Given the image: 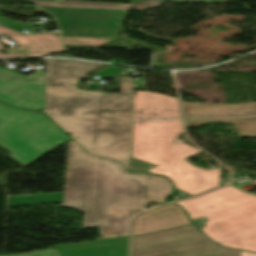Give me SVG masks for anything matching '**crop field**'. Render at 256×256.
Wrapping results in <instances>:
<instances>
[{"label": "crop field", "mask_w": 256, "mask_h": 256, "mask_svg": "<svg viewBox=\"0 0 256 256\" xmlns=\"http://www.w3.org/2000/svg\"><path fill=\"white\" fill-rule=\"evenodd\" d=\"M61 256H128V236L56 246Z\"/></svg>", "instance_id": "crop-field-12"}, {"label": "crop field", "mask_w": 256, "mask_h": 256, "mask_svg": "<svg viewBox=\"0 0 256 256\" xmlns=\"http://www.w3.org/2000/svg\"><path fill=\"white\" fill-rule=\"evenodd\" d=\"M189 224L181 208L170 204L135 217L133 220V236Z\"/></svg>", "instance_id": "crop-field-10"}, {"label": "crop field", "mask_w": 256, "mask_h": 256, "mask_svg": "<svg viewBox=\"0 0 256 256\" xmlns=\"http://www.w3.org/2000/svg\"><path fill=\"white\" fill-rule=\"evenodd\" d=\"M147 177L128 173L120 162L89 155L70 142L64 192L9 197V207L63 203L84 211L83 229L105 227L110 207L146 206Z\"/></svg>", "instance_id": "crop-field-1"}, {"label": "crop field", "mask_w": 256, "mask_h": 256, "mask_svg": "<svg viewBox=\"0 0 256 256\" xmlns=\"http://www.w3.org/2000/svg\"><path fill=\"white\" fill-rule=\"evenodd\" d=\"M242 256H256V254L242 251Z\"/></svg>", "instance_id": "crop-field-21"}, {"label": "crop field", "mask_w": 256, "mask_h": 256, "mask_svg": "<svg viewBox=\"0 0 256 256\" xmlns=\"http://www.w3.org/2000/svg\"><path fill=\"white\" fill-rule=\"evenodd\" d=\"M176 204L186 209L191 221L211 240L256 251V196L229 185Z\"/></svg>", "instance_id": "crop-field-3"}, {"label": "crop field", "mask_w": 256, "mask_h": 256, "mask_svg": "<svg viewBox=\"0 0 256 256\" xmlns=\"http://www.w3.org/2000/svg\"><path fill=\"white\" fill-rule=\"evenodd\" d=\"M182 133L176 98L136 91L132 157L157 165L149 173L167 176L176 189L191 195L220 186V168L201 170L183 160L201 151L184 143L176 144Z\"/></svg>", "instance_id": "crop-field-2"}, {"label": "crop field", "mask_w": 256, "mask_h": 256, "mask_svg": "<svg viewBox=\"0 0 256 256\" xmlns=\"http://www.w3.org/2000/svg\"><path fill=\"white\" fill-rule=\"evenodd\" d=\"M69 138L45 115L0 103V145L28 166Z\"/></svg>", "instance_id": "crop-field-5"}, {"label": "crop field", "mask_w": 256, "mask_h": 256, "mask_svg": "<svg viewBox=\"0 0 256 256\" xmlns=\"http://www.w3.org/2000/svg\"><path fill=\"white\" fill-rule=\"evenodd\" d=\"M210 122H233L239 136L256 138V120H186L187 127H198Z\"/></svg>", "instance_id": "crop-field-15"}, {"label": "crop field", "mask_w": 256, "mask_h": 256, "mask_svg": "<svg viewBox=\"0 0 256 256\" xmlns=\"http://www.w3.org/2000/svg\"><path fill=\"white\" fill-rule=\"evenodd\" d=\"M132 256H240L218 248L192 225L133 237Z\"/></svg>", "instance_id": "crop-field-7"}, {"label": "crop field", "mask_w": 256, "mask_h": 256, "mask_svg": "<svg viewBox=\"0 0 256 256\" xmlns=\"http://www.w3.org/2000/svg\"><path fill=\"white\" fill-rule=\"evenodd\" d=\"M65 45H88V46H100L111 40L106 39H89V38H72L63 37Z\"/></svg>", "instance_id": "crop-field-17"}, {"label": "crop field", "mask_w": 256, "mask_h": 256, "mask_svg": "<svg viewBox=\"0 0 256 256\" xmlns=\"http://www.w3.org/2000/svg\"><path fill=\"white\" fill-rule=\"evenodd\" d=\"M0 100L27 109L44 108V73L39 71L26 78L0 68Z\"/></svg>", "instance_id": "crop-field-8"}, {"label": "crop field", "mask_w": 256, "mask_h": 256, "mask_svg": "<svg viewBox=\"0 0 256 256\" xmlns=\"http://www.w3.org/2000/svg\"><path fill=\"white\" fill-rule=\"evenodd\" d=\"M132 79H121V94L102 93L95 130V154L123 161L129 171L147 172L130 158ZM112 112H116L115 116Z\"/></svg>", "instance_id": "crop-field-6"}, {"label": "crop field", "mask_w": 256, "mask_h": 256, "mask_svg": "<svg viewBox=\"0 0 256 256\" xmlns=\"http://www.w3.org/2000/svg\"><path fill=\"white\" fill-rule=\"evenodd\" d=\"M0 34L8 35L19 44V48L9 51L12 54L0 53V58L46 56L63 50L59 37L52 33L27 35L0 26ZM2 48L4 47L0 43V49Z\"/></svg>", "instance_id": "crop-field-9"}, {"label": "crop field", "mask_w": 256, "mask_h": 256, "mask_svg": "<svg viewBox=\"0 0 256 256\" xmlns=\"http://www.w3.org/2000/svg\"><path fill=\"white\" fill-rule=\"evenodd\" d=\"M80 80V78H78L77 80H75L73 83H71L68 87L72 88V89H75L76 90V83ZM80 92H84V93H88V94H94V95H99L101 93H95V92H87V91H81V90H78Z\"/></svg>", "instance_id": "crop-field-20"}, {"label": "crop field", "mask_w": 256, "mask_h": 256, "mask_svg": "<svg viewBox=\"0 0 256 256\" xmlns=\"http://www.w3.org/2000/svg\"><path fill=\"white\" fill-rule=\"evenodd\" d=\"M121 68L115 67V66H109L98 73L94 74L97 76H102V77H109V78H114L117 75H119Z\"/></svg>", "instance_id": "crop-field-18"}, {"label": "crop field", "mask_w": 256, "mask_h": 256, "mask_svg": "<svg viewBox=\"0 0 256 256\" xmlns=\"http://www.w3.org/2000/svg\"><path fill=\"white\" fill-rule=\"evenodd\" d=\"M102 66L104 65L69 60H46L45 112L92 154L99 96L83 94L66 86Z\"/></svg>", "instance_id": "crop-field-4"}, {"label": "crop field", "mask_w": 256, "mask_h": 256, "mask_svg": "<svg viewBox=\"0 0 256 256\" xmlns=\"http://www.w3.org/2000/svg\"><path fill=\"white\" fill-rule=\"evenodd\" d=\"M4 256H59V254L56 249H51V250L39 251V252L28 253V254L4 255Z\"/></svg>", "instance_id": "crop-field-19"}, {"label": "crop field", "mask_w": 256, "mask_h": 256, "mask_svg": "<svg viewBox=\"0 0 256 256\" xmlns=\"http://www.w3.org/2000/svg\"><path fill=\"white\" fill-rule=\"evenodd\" d=\"M146 207L111 208L109 227L100 228L103 238L129 235V219Z\"/></svg>", "instance_id": "crop-field-13"}, {"label": "crop field", "mask_w": 256, "mask_h": 256, "mask_svg": "<svg viewBox=\"0 0 256 256\" xmlns=\"http://www.w3.org/2000/svg\"><path fill=\"white\" fill-rule=\"evenodd\" d=\"M38 6H54V7H84V8H111V9H132L133 5H116V4H98V3H80V2H44L32 1Z\"/></svg>", "instance_id": "crop-field-16"}, {"label": "crop field", "mask_w": 256, "mask_h": 256, "mask_svg": "<svg viewBox=\"0 0 256 256\" xmlns=\"http://www.w3.org/2000/svg\"><path fill=\"white\" fill-rule=\"evenodd\" d=\"M171 191L170 182L166 178L149 174L146 202L164 203Z\"/></svg>", "instance_id": "crop-field-14"}, {"label": "crop field", "mask_w": 256, "mask_h": 256, "mask_svg": "<svg viewBox=\"0 0 256 256\" xmlns=\"http://www.w3.org/2000/svg\"><path fill=\"white\" fill-rule=\"evenodd\" d=\"M186 119L256 118V102L237 105L183 103Z\"/></svg>", "instance_id": "crop-field-11"}]
</instances>
